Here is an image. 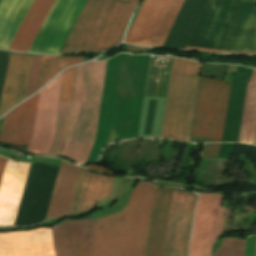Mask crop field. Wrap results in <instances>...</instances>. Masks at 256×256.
I'll use <instances>...</instances> for the list:
<instances>
[{"instance_id": "00972430", "label": "crop field", "mask_w": 256, "mask_h": 256, "mask_svg": "<svg viewBox=\"0 0 256 256\" xmlns=\"http://www.w3.org/2000/svg\"><path fill=\"white\" fill-rule=\"evenodd\" d=\"M245 242L242 238L226 237L224 244L215 256H244Z\"/></svg>"}, {"instance_id": "5142ce71", "label": "crop field", "mask_w": 256, "mask_h": 256, "mask_svg": "<svg viewBox=\"0 0 256 256\" xmlns=\"http://www.w3.org/2000/svg\"><path fill=\"white\" fill-rule=\"evenodd\" d=\"M114 178L90 174L81 169L69 214L90 211L96 201L108 198Z\"/></svg>"}, {"instance_id": "f4fd0767", "label": "crop field", "mask_w": 256, "mask_h": 256, "mask_svg": "<svg viewBox=\"0 0 256 256\" xmlns=\"http://www.w3.org/2000/svg\"><path fill=\"white\" fill-rule=\"evenodd\" d=\"M104 64L91 61L77 69L67 137L60 154L78 163L85 161L93 143Z\"/></svg>"}, {"instance_id": "eef30255", "label": "crop field", "mask_w": 256, "mask_h": 256, "mask_svg": "<svg viewBox=\"0 0 256 256\" xmlns=\"http://www.w3.org/2000/svg\"><path fill=\"white\" fill-rule=\"evenodd\" d=\"M82 57H76V58H72V57H62L61 59V65H60V70L66 68L69 65H73V64H78L81 62Z\"/></svg>"}, {"instance_id": "dd49c442", "label": "crop field", "mask_w": 256, "mask_h": 256, "mask_svg": "<svg viewBox=\"0 0 256 256\" xmlns=\"http://www.w3.org/2000/svg\"><path fill=\"white\" fill-rule=\"evenodd\" d=\"M200 67L174 58L161 137L188 141Z\"/></svg>"}, {"instance_id": "cbeb9de0", "label": "crop field", "mask_w": 256, "mask_h": 256, "mask_svg": "<svg viewBox=\"0 0 256 256\" xmlns=\"http://www.w3.org/2000/svg\"><path fill=\"white\" fill-rule=\"evenodd\" d=\"M38 94L4 116L1 143L28 144L32 138Z\"/></svg>"}, {"instance_id": "d8731c3e", "label": "crop field", "mask_w": 256, "mask_h": 256, "mask_svg": "<svg viewBox=\"0 0 256 256\" xmlns=\"http://www.w3.org/2000/svg\"><path fill=\"white\" fill-rule=\"evenodd\" d=\"M184 0H144L125 42L161 48Z\"/></svg>"}, {"instance_id": "750c4746", "label": "crop field", "mask_w": 256, "mask_h": 256, "mask_svg": "<svg viewBox=\"0 0 256 256\" xmlns=\"http://www.w3.org/2000/svg\"><path fill=\"white\" fill-rule=\"evenodd\" d=\"M5 160H6L5 158L0 157V179H1L3 168H4Z\"/></svg>"}, {"instance_id": "d1516ede", "label": "crop field", "mask_w": 256, "mask_h": 256, "mask_svg": "<svg viewBox=\"0 0 256 256\" xmlns=\"http://www.w3.org/2000/svg\"><path fill=\"white\" fill-rule=\"evenodd\" d=\"M95 220H66L51 228L56 256H91Z\"/></svg>"}, {"instance_id": "214f88e0", "label": "crop field", "mask_w": 256, "mask_h": 256, "mask_svg": "<svg viewBox=\"0 0 256 256\" xmlns=\"http://www.w3.org/2000/svg\"><path fill=\"white\" fill-rule=\"evenodd\" d=\"M76 67L64 71L60 99L70 101ZM59 101L53 140L47 154L57 155L65 137L70 102Z\"/></svg>"}, {"instance_id": "ae1a2a85", "label": "crop field", "mask_w": 256, "mask_h": 256, "mask_svg": "<svg viewBox=\"0 0 256 256\" xmlns=\"http://www.w3.org/2000/svg\"><path fill=\"white\" fill-rule=\"evenodd\" d=\"M7 254V233L0 234V256H6Z\"/></svg>"}, {"instance_id": "1d83c4d3", "label": "crop field", "mask_w": 256, "mask_h": 256, "mask_svg": "<svg viewBox=\"0 0 256 256\" xmlns=\"http://www.w3.org/2000/svg\"><path fill=\"white\" fill-rule=\"evenodd\" d=\"M255 256H256V253H255Z\"/></svg>"}, {"instance_id": "4177f3b9", "label": "crop field", "mask_w": 256, "mask_h": 256, "mask_svg": "<svg viewBox=\"0 0 256 256\" xmlns=\"http://www.w3.org/2000/svg\"><path fill=\"white\" fill-rule=\"evenodd\" d=\"M221 144H206L203 156L208 159H217Z\"/></svg>"}, {"instance_id": "22f410ed", "label": "crop field", "mask_w": 256, "mask_h": 256, "mask_svg": "<svg viewBox=\"0 0 256 256\" xmlns=\"http://www.w3.org/2000/svg\"><path fill=\"white\" fill-rule=\"evenodd\" d=\"M34 56L11 53L3 88L0 116L25 99Z\"/></svg>"}, {"instance_id": "d9b57169", "label": "crop field", "mask_w": 256, "mask_h": 256, "mask_svg": "<svg viewBox=\"0 0 256 256\" xmlns=\"http://www.w3.org/2000/svg\"><path fill=\"white\" fill-rule=\"evenodd\" d=\"M80 169L78 166L61 161L46 219L68 215Z\"/></svg>"}, {"instance_id": "bd1437ed", "label": "crop field", "mask_w": 256, "mask_h": 256, "mask_svg": "<svg viewBox=\"0 0 256 256\" xmlns=\"http://www.w3.org/2000/svg\"><path fill=\"white\" fill-rule=\"evenodd\" d=\"M254 144H256V135H255V141H254Z\"/></svg>"}, {"instance_id": "28ad6ade", "label": "crop field", "mask_w": 256, "mask_h": 256, "mask_svg": "<svg viewBox=\"0 0 256 256\" xmlns=\"http://www.w3.org/2000/svg\"><path fill=\"white\" fill-rule=\"evenodd\" d=\"M62 75L40 91L33 138L26 152L47 153L53 135Z\"/></svg>"}, {"instance_id": "5a996713", "label": "crop field", "mask_w": 256, "mask_h": 256, "mask_svg": "<svg viewBox=\"0 0 256 256\" xmlns=\"http://www.w3.org/2000/svg\"><path fill=\"white\" fill-rule=\"evenodd\" d=\"M221 198L216 195H199L189 256H210L211 245L221 234L226 210L219 208Z\"/></svg>"}, {"instance_id": "730fd06b", "label": "crop field", "mask_w": 256, "mask_h": 256, "mask_svg": "<svg viewBox=\"0 0 256 256\" xmlns=\"http://www.w3.org/2000/svg\"><path fill=\"white\" fill-rule=\"evenodd\" d=\"M255 239H256V233L247 236L245 256H254V253H255Z\"/></svg>"}, {"instance_id": "34b2d1b8", "label": "crop field", "mask_w": 256, "mask_h": 256, "mask_svg": "<svg viewBox=\"0 0 256 256\" xmlns=\"http://www.w3.org/2000/svg\"><path fill=\"white\" fill-rule=\"evenodd\" d=\"M136 2L87 0L60 54L99 52L121 42Z\"/></svg>"}, {"instance_id": "ac0d7876", "label": "crop field", "mask_w": 256, "mask_h": 256, "mask_svg": "<svg viewBox=\"0 0 256 256\" xmlns=\"http://www.w3.org/2000/svg\"><path fill=\"white\" fill-rule=\"evenodd\" d=\"M156 187L138 183L119 213L98 217L93 256H145V243Z\"/></svg>"}, {"instance_id": "8a807250", "label": "crop field", "mask_w": 256, "mask_h": 256, "mask_svg": "<svg viewBox=\"0 0 256 256\" xmlns=\"http://www.w3.org/2000/svg\"><path fill=\"white\" fill-rule=\"evenodd\" d=\"M186 46L256 50V0H209ZM192 47L185 49L256 53Z\"/></svg>"}, {"instance_id": "3316defc", "label": "crop field", "mask_w": 256, "mask_h": 256, "mask_svg": "<svg viewBox=\"0 0 256 256\" xmlns=\"http://www.w3.org/2000/svg\"><path fill=\"white\" fill-rule=\"evenodd\" d=\"M195 198L192 193L174 189L164 256H187Z\"/></svg>"}, {"instance_id": "92a150f3", "label": "crop field", "mask_w": 256, "mask_h": 256, "mask_svg": "<svg viewBox=\"0 0 256 256\" xmlns=\"http://www.w3.org/2000/svg\"><path fill=\"white\" fill-rule=\"evenodd\" d=\"M256 122V70L253 71L246 90L238 142L252 144Z\"/></svg>"}, {"instance_id": "a9b5d70f", "label": "crop field", "mask_w": 256, "mask_h": 256, "mask_svg": "<svg viewBox=\"0 0 256 256\" xmlns=\"http://www.w3.org/2000/svg\"><path fill=\"white\" fill-rule=\"evenodd\" d=\"M42 56H35L34 58V63L32 67V72H31V77H30V82H29V87L27 91V96H30L31 94L34 93L35 86H36V81H37V76L39 72V67H40V62H41Z\"/></svg>"}, {"instance_id": "dafd665d", "label": "crop field", "mask_w": 256, "mask_h": 256, "mask_svg": "<svg viewBox=\"0 0 256 256\" xmlns=\"http://www.w3.org/2000/svg\"><path fill=\"white\" fill-rule=\"evenodd\" d=\"M61 57L43 56L36 90L58 73Z\"/></svg>"}, {"instance_id": "733c2abd", "label": "crop field", "mask_w": 256, "mask_h": 256, "mask_svg": "<svg viewBox=\"0 0 256 256\" xmlns=\"http://www.w3.org/2000/svg\"><path fill=\"white\" fill-rule=\"evenodd\" d=\"M7 256H55L50 229L8 233Z\"/></svg>"}, {"instance_id": "e52e79f7", "label": "crop field", "mask_w": 256, "mask_h": 256, "mask_svg": "<svg viewBox=\"0 0 256 256\" xmlns=\"http://www.w3.org/2000/svg\"><path fill=\"white\" fill-rule=\"evenodd\" d=\"M230 82L200 78L191 141L221 142Z\"/></svg>"}, {"instance_id": "4a817a6b", "label": "crop field", "mask_w": 256, "mask_h": 256, "mask_svg": "<svg viewBox=\"0 0 256 256\" xmlns=\"http://www.w3.org/2000/svg\"><path fill=\"white\" fill-rule=\"evenodd\" d=\"M172 191L157 189L154 211L147 243V256H163V244L169 215Z\"/></svg>"}, {"instance_id": "bc2a9ffb", "label": "crop field", "mask_w": 256, "mask_h": 256, "mask_svg": "<svg viewBox=\"0 0 256 256\" xmlns=\"http://www.w3.org/2000/svg\"><path fill=\"white\" fill-rule=\"evenodd\" d=\"M33 0H2L0 3V49H8Z\"/></svg>"}, {"instance_id": "d3111659", "label": "crop field", "mask_w": 256, "mask_h": 256, "mask_svg": "<svg viewBox=\"0 0 256 256\" xmlns=\"http://www.w3.org/2000/svg\"><path fill=\"white\" fill-rule=\"evenodd\" d=\"M85 167L89 168V169L96 170V171H100V172L112 173V172H110L109 170H107L103 167H99V166H95V165H87Z\"/></svg>"}, {"instance_id": "412701ff", "label": "crop field", "mask_w": 256, "mask_h": 256, "mask_svg": "<svg viewBox=\"0 0 256 256\" xmlns=\"http://www.w3.org/2000/svg\"><path fill=\"white\" fill-rule=\"evenodd\" d=\"M54 0H35L9 49L27 52ZM86 0H55L28 52L58 54Z\"/></svg>"}]
</instances>
